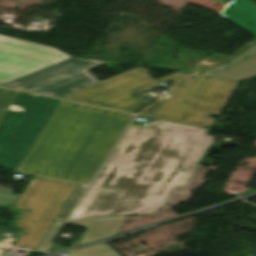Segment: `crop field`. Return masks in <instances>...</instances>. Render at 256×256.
<instances>
[{
    "label": "crop field",
    "mask_w": 256,
    "mask_h": 256,
    "mask_svg": "<svg viewBox=\"0 0 256 256\" xmlns=\"http://www.w3.org/2000/svg\"><path fill=\"white\" fill-rule=\"evenodd\" d=\"M12 104L23 112L8 111ZM133 116L0 88V164L90 183Z\"/></svg>",
    "instance_id": "crop-field-1"
},
{
    "label": "crop field",
    "mask_w": 256,
    "mask_h": 256,
    "mask_svg": "<svg viewBox=\"0 0 256 256\" xmlns=\"http://www.w3.org/2000/svg\"><path fill=\"white\" fill-rule=\"evenodd\" d=\"M130 126L78 205L79 219L151 212L185 186L215 137L166 121ZM147 134V136H144ZM103 166V167H104Z\"/></svg>",
    "instance_id": "crop-field-2"
},
{
    "label": "crop field",
    "mask_w": 256,
    "mask_h": 256,
    "mask_svg": "<svg viewBox=\"0 0 256 256\" xmlns=\"http://www.w3.org/2000/svg\"><path fill=\"white\" fill-rule=\"evenodd\" d=\"M238 80L190 75L178 80L172 95L166 100L161 98L140 114L191 124L209 126L218 115Z\"/></svg>",
    "instance_id": "crop-field-3"
},
{
    "label": "crop field",
    "mask_w": 256,
    "mask_h": 256,
    "mask_svg": "<svg viewBox=\"0 0 256 256\" xmlns=\"http://www.w3.org/2000/svg\"><path fill=\"white\" fill-rule=\"evenodd\" d=\"M75 186L33 176L15 206L24 212L15 223L23 231L13 245L35 249Z\"/></svg>",
    "instance_id": "crop-field-4"
},
{
    "label": "crop field",
    "mask_w": 256,
    "mask_h": 256,
    "mask_svg": "<svg viewBox=\"0 0 256 256\" xmlns=\"http://www.w3.org/2000/svg\"><path fill=\"white\" fill-rule=\"evenodd\" d=\"M147 71L137 67L61 98L136 113L151 101L140 99L135 93L157 85Z\"/></svg>",
    "instance_id": "crop-field-5"
},
{
    "label": "crop field",
    "mask_w": 256,
    "mask_h": 256,
    "mask_svg": "<svg viewBox=\"0 0 256 256\" xmlns=\"http://www.w3.org/2000/svg\"><path fill=\"white\" fill-rule=\"evenodd\" d=\"M101 63L71 58L2 86L61 97L99 82L87 69Z\"/></svg>",
    "instance_id": "crop-field-6"
},
{
    "label": "crop field",
    "mask_w": 256,
    "mask_h": 256,
    "mask_svg": "<svg viewBox=\"0 0 256 256\" xmlns=\"http://www.w3.org/2000/svg\"><path fill=\"white\" fill-rule=\"evenodd\" d=\"M69 58L55 48L0 35V85Z\"/></svg>",
    "instance_id": "crop-field-7"
},
{
    "label": "crop field",
    "mask_w": 256,
    "mask_h": 256,
    "mask_svg": "<svg viewBox=\"0 0 256 256\" xmlns=\"http://www.w3.org/2000/svg\"><path fill=\"white\" fill-rule=\"evenodd\" d=\"M224 68H228L224 71ZM202 75H211L227 78L247 80L256 76V46L246 51L229 65H222L212 70L201 73Z\"/></svg>",
    "instance_id": "crop-field-8"
},
{
    "label": "crop field",
    "mask_w": 256,
    "mask_h": 256,
    "mask_svg": "<svg viewBox=\"0 0 256 256\" xmlns=\"http://www.w3.org/2000/svg\"><path fill=\"white\" fill-rule=\"evenodd\" d=\"M219 14L256 36V3L251 0H233Z\"/></svg>",
    "instance_id": "crop-field-9"
},
{
    "label": "crop field",
    "mask_w": 256,
    "mask_h": 256,
    "mask_svg": "<svg viewBox=\"0 0 256 256\" xmlns=\"http://www.w3.org/2000/svg\"><path fill=\"white\" fill-rule=\"evenodd\" d=\"M123 218L124 216H114V217H100V218H90V219H82V220H72V221H66V222L87 229L84 235L81 237V239L77 243V244H80V243H84L90 240H94L100 237H104V236L116 233Z\"/></svg>",
    "instance_id": "crop-field-10"
},
{
    "label": "crop field",
    "mask_w": 256,
    "mask_h": 256,
    "mask_svg": "<svg viewBox=\"0 0 256 256\" xmlns=\"http://www.w3.org/2000/svg\"><path fill=\"white\" fill-rule=\"evenodd\" d=\"M69 256H120L105 243L68 253Z\"/></svg>",
    "instance_id": "crop-field-11"
},
{
    "label": "crop field",
    "mask_w": 256,
    "mask_h": 256,
    "mask_svg": "<svg viewBox=\"0 0 256 256\" xmlns=\"http://www.w3.org/2000/svg\"><path fill=\"white\" fill-rule=\"evenodd\" d=\"M86 187L87 185L77 184L71 196L60 210L55 221L65 220V218L67 217V215L69 214V212L71 211V209L73 208V206L75 205V203L77 202V200L79 199V197L81 196Z\"/></svg>",
    "instance_id": "crop-field-12"
},
{
    "label": "crop field",
    "mask_w": 256,
    "mask_h": 256,
    "mask_svg": "<svg viewBox=\"0 0 256 256\" xmlns=\"http://www.w3.org/2000/svg\"><path fill=\"white\" fill-rule=\"evenodd\" d=\"M64 221L61 222H53L43 239L40 241L38 246L36 247L37 250L45 251L48 243L51 241V239L54 237V235L57 232V228L62 225Z\"/></svg>",
    "instance_id": "crop-field-13"
},
{
    "label": "crop field",
    "mask_w": 256,
    "mask_h": 256,
    "mask_svg": "<svg viewBox=\"0 0 256 256\" xmlns=\"http://www.w3.org/2000/svg\"><path fill=\"white\" fill-rule=\"evenodd\" d=\"M188 73H184L183 75L181 74V72H177V73H174V74H172V75H169V76H166V77H164V78H161V79H159V80H157L158 82H166V81H168V80H170V79H172V80H175V79H177V78H180V77H182V76H184V75H187Z\"/></svg>",
    "instance_id": "crop-field-14"
},
{
    "label": "crop field",
    "mask_w": 256,
    "mask_h": 256,
    "mask_svg": "<svg viewBox=\"0 0 256 256\" xmlns=\"http://www.w3.org/2000/svg\"><path fill=\"white\" fill-rule=\"evenodd\" d=\"M83 209H84V207L76 206V208L74 209V211L72 212V214L70 215L68 220L78 219V217L81 214V212L83 211Z\"/></svg>",
    "instance_id": "crop-field-15"
},
{
    "label": "crop field",
    "mask_w": 256,
    "mask_h": 256,
    "mask_svg": "<svg viewBox=\"0 0 256 256\" xmlns=\"http://www.w3.org/2000/svg\"><path fill=\"white\" fill-rule=\"evenodd\" d=\"M9 110H12V111H22L23 108L12 105V106H10Z\"/></svg>",
    "instance_id": "crop-field-16"
},
{
    "label": "crop field",
    "mask_w": 256,
    "mask_h": 256,
    "mask_svg": "<svg viewBox=\"0 0 256 256\" xmlns=\"http://www.w3.org/2000/svg\"><path fill=\"white\" fill-rule=\"evenodd\" d=\"M4 251H5L4 249H0V255H1Z\"/></svg>",
    "instance_id": "crop-field-17"
}]
</instances>
